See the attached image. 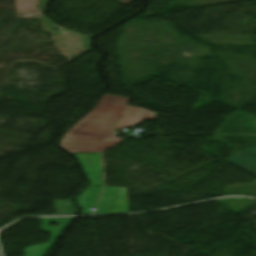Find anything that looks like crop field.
<instances>
[{
    "label": "crop field",
    "instance_id": "1",
    "mask_svg": "<svg viewBox=\"0 0 256 256\" xmlns=\"http://www.w3.org/2000/svg\"><path fill=\"white\" fill-rule=\"evenodd\" d=\"M93 110L68 130L60 143L71 152L102 151L117 142H102L114 129L154 119L155 113L128 106L129 99L104 94Z\"/></svg>",
    "mask_w": 256,
    "mask_h": 256
},
{
    "label": "crop field",
    "instance_id": "2",
    "mask_svg": "<svg viewBox=\"0 0 256 256\" xmlns=\"http://www.w3.org/2000/svg\"><path fill=\"white\" fill-rule=\"evenodd\" d=\"M129 212L127 188L106 186L95 213Z\"/></svg>",
    "mask_w": 256,
    "mask_h": 256
},
{
    "label": "crop field",
    "instance_id": "3",
    "mask_svg": "<svg viewBox=\"0 0 256 256\" xmlns=\"http://www.w3.org/2000/svg\"><path fill=\"white\" fill-rule=\"evenodd\" d=\"M71 218H51V219H41V230L44 232L51 233L52 241L43 244H37L26 247L24 250L26 253L24 256H46L50 248L53 246L55 241L58 239L60 234L63 232ZM50 221H55L60 223L57 227L49 226Z\"/></svg>",
    "mask_w": 256,
    "mask_h": 256
},
{
    "label": "crop field",
    "instance_id": "4",
    "mask_svg": "<svg viewBox=\"0 0 256 256\" xmlns=\"http://www.w3.org/2000/svg\"><path fill=\"white\" fill-rule=\"evenodd\" d=\"M80 160L90 183L102 185L100 179L101 161L100 153L74 154Z\"/></svg>",
    "mask_w": 256,
    "mask_h": 256
},
{
    "label": "crop field",
    "instance_id": "5",
    "mask_svg": "<svg viewBox=\"0 0 256 256\" xmlns=\"http://www.w3.org/2000/svg\"><path fill=\"white\" fill-rule=\"evenodd\" d=\"M102 187L87 186L76 198L82 207L80 214H91V208H94L98 195Z\"/></svg>",
    "mask_w": 256,
    "mask_h": 256
},
{
    "label": "crop field",
    "instance_id": "6",
    "mask_svg": "<svg viewBox=\"0 0 256 256\" xmlns=\"http://www.w3.org/2000/svg\"><path fill=\"white\" fill-rule=\"evenodd\" d=\"M225 161L256 175V156L241 150L234 156L226 159Z\"/></svg>",
    "mask_w": 256,
    "mask_h": 256
},
{
    "label": "crop field",
    "instance_id": "7",
    "mask_svg": "<svg viewBox=\"0 0 256 256\" xmlns=\"http://www.w3.org/2000/svg\"><path fill=\"white\" fill-rule=\"evenodd\" d=\"M56 213H73L75 209L70 200L53 201Z\"/></svg>",
    "mask_w": 256,
    "mask_h": 256
},
{
    "label": "crop field",
    "instance_id": "8",
    "mask_svg": "<svg viewBox=\"0 0 256 256\" xmlns=\"http://www.w3.org/2000/svg\"><path fill=\"white\" fill-rule=\"evenodd\" d=\"M245 150H247V151H249V152H251V153L256 155V146L250 147V148L245 149Z\"/></svg>",
    "mask_w": 256,
    "mask_h": 256
},
{
    "label": "crop field",
    "instance_id": "9",
    "mask_svg": "<svg viewBox=\"0 0 256 256\" xmlns=\"http://www.w3.org/2000/svg\"><path fill=\"white\" fill-rule=\"evenodd\" d=\"M121 3L127 4L130 3L132 0H118Z\"/></svg>",
    "mask_w": 256,
    "mask_h": 256
}]
</instances>
